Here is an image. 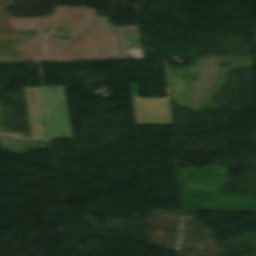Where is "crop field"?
<instances>
[{"label":"crop field","mask_w":256,"mask_h":256,"mask_svg":"<svg viewBox=\"0 0 256 256\" xmlns=\"http://www.w3.org/2000/svg\"><path fill=\"white\" fill-rule=\"evenodd\" d=\"M33 138L43 139L35 88L26 89Z\"/></svg>","instance_id":"ac0d7876"},{"label":"crop field","mask_w":256,"mask_h":256,"mask_svg":"<svg viewBox=\"0 0 256 256\" xmlns=\"http://www.w3.org/2000/svg\"><path fill=\"white\" fill-rule=\"evenodd\" d=\"M133 97H140L138 94V84H131Z\"/></svg>","instance_id":"34b2d1b8"},{"label":"crop field","mask_w":256,"mask_h":256,"mask_svg":"<svg viewBox=\"0 0 256 256\" xmlns=\"http://www.w3.org/2000/svg\"><path fill=\"white\" fill-rule=\"evenodd\" d=\"M44 139H72L64 87L36 88Z\"/></svg>","instance_id":"8a807250"}]
</instances>
